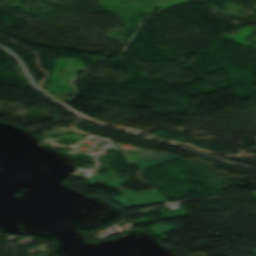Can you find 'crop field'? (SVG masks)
Wrapping results in <instances>:
<instances>
[{
    "instance_id": "obj_3",
    "label": "crop field",
    "mask_w": 256,
    "mask_h": 256,
    "mask_svg": "<svg viewBox=\"0 0 256 256\" xmlns=\"http://www.w3.org/2000/svg\"><path fill=\"white\" fill-rule=\"evenodd\" d=\"M149 228L153 234H155L157 236H161L160 238L164 237L162 235L169 231L177 230L174 226H172L169 223L164 224V225L156 224V225L150 226Z\"/></svg>"
},
{
    "instance_id": "obj_1",
    "label": "crop field",
    "mask_w": 256,
    "mask_h": 256,
    "mask_svg": "<svg viewBox=\"0 0 256 256\" xmlns=\"http://www.w3.org/2000/svg\"><path fill=\"white\" fill-rule=\"evenodd\" d=\"M110 145L113 149L122 151L126 160L132 164H137L140 169H144L150 166H154L169 160H173L176 158H179V156H176L174 154L170 153H157L154 154L150 151H144L140 149H134V148H126V147H120L118 144H114L110 142Z\"/></svg>"
},
{
    "instance_id": "obj_4",
    "label": "crop field",
    "mask_w": 256,
    "mask_h": 256,
    "mask_svg": "<svg viewBox=\"0 0 256 256\" xmlns=\"http://www.w3.org/2000/svg\"><path fill=\"white\" fill-rule=\"evenodd\" d=\"M126 181H127L126 179H122V178H119V177L113 175L108 180H106L103 184L118 188L119 186H121Z\"/></svg>"
},
{
    "instance_id": "obj_7",
    "label": "crop field",
    "mask_w": 256,
    "mask_h": 256,
    "mask_svg": "<svg viewBox=\"0 0 256 256\" xmlns=\"http://www.w3.org/2000/svg\"><path fill=\"white\" fill-rule=\"evenodd\" d=\"M252 252L256 255V249H255V250H252Z\"/></svg>"
},
{
    "instance_id": "obj_5",
    "label": "crop field",
    "mask_w": 256,
    "mask_h": 256,
    "mask_svg": "<svg viewBox=\"0 0 256 256\" xmlns=\"http://www.w3.org/2000/svg\"><path fill=\"white\" fill-rule=\"evenodd\" d=\"M110 176H93L91 179L88 180V184L94 183L96 180L99 181V183L103 182L105 179H107Z\"/></svg>"
},
{
    "instance_id": "obj_6",
    "label": "crop field",
    "mask_w": 256,
    "mask_h": 256,
    "mask_svg": "<svg viewBox=\"0 0 256 256\" xmlns=\"http://www.w3.org/2000/svg\"><path fill=\"white\" fill-rule=\"evenodd\" d=\"M80 141H81V140H80ZM82 142H84V141H81V142H79V143H77V144L71 146L73 149H72L71 151L67 152V153H71V154H73L74 152H75V153H78L79 150L76 149L75 146L78 145V144H80V143H82Z\"/></svg>"
},
{
    "instance_id": "obj_2",
    "label": "crop field",
    "mask_w": 256,
    "mask_h": 256,
    "mask_svg": "<svg viewBox=\"0 0 256 256\" xmlns=\"http://www.w3.org/2000/svg\"><path fill=\"white\" fill-rule=\"evenodd\" d=\"M121 196L114 199L125 207L143 206L152 203L168 202L157 190L136 193L126 188H119Z\"/></svg>"
}]
</instances>
